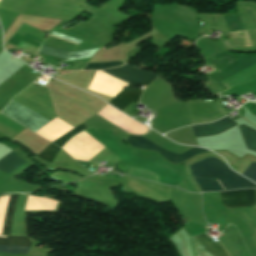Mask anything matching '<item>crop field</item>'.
<instances>
[{
	"label": "crop field",
	"instance_id": "obj_1",
	"mask_svg": "<svg viewBox=\"0 0 256 256\" xmlns=\"http://www.w3.org/2000/svg\"><path fill=\"white\" fill-rule=\"evenodd\" d=\"M189 167L193 178L218 179L225 190L256 188V185L230 171L225 162L217 157L204 159Z\"/></svg>",
	"mask_w": 256,
	"mask_h": 256
},
{
	"label": "crop field",
	"instance_id": "obj_2",
	"mask_svg": "<svg viewBox=\"0 0 256 256\" xmlns=\"http://www.w3.org/2000/svg\"><path fill=\"white\" fill-rule=\"evenodd\" d=\"M152 18L199 29V20L196 11L175 4L155 6Z\"/></svg>",
	"mask_w": 256,
	"mask_h": 256
},
{
	"label": "crop field",
	"instance_id": "obj_3",
	"mask_svg": "<svg viewBox=\"0 0 256 256\" xmlns=\"http://www.w3.org/2000/svg\"><path fill=\"white\" fill-rule=\"evenodd\" d=\"M1 113L26 126L34 132L49 122L42 116L35 114L34 112L12 100Z\"/></svg>",
	"mask_w": 256,
	"mask_h": 256
},
{
	"label": "crop field",
	"instance_id": "obj_4",
	"mask_svg": "<svg viewBox=\"0 0 256 256\" xmlns=\"http://www.w3.org/2000/svg\"><path fill=\"white\" fill-rule=\"evenodd\" d=\"M126 141L130 145L138 147V148L157 151L167 161L174 162V163L186 160V159H188L190 157H193V156H195L197 154H200V153L209 152L208 150H203V149H199V148L194 147V148L190 149L189 151H187L186 153H184L182 155H179V154L169 152V151L155 145L154 143L144 139L141 136L131 135L130 138Z\"/></svg>",
	"mask_w": 256,
	"mask_h": 256
},
{
	"label": "crop field",
	"instance_id": "obj_5",
	"mask_svg": "<svg viewBox=\"0 0 256 256\" xmlns=\"http://www.w3.org/2000/svg\"><path fill=\"white\" fill-rule=\"evenodd\" d=\"M102 71L128 84H150L156 77L155 75L136 69L128 64L118 68L105 69Z\"/></svg>",
	"mask_w": 256,
	"mask_h": 256
},
{
	"label": "crop field",
	"instance_id": "obj_6",
	"mask_svg": "<svg viewBox=\"0 0 256 256\" xmlns=\"http://www.w3.org/2000/svg\"><path fill=\"white\" fill-rule=\"evenodd\" d=\"M222 205L227 208L256 206V189L222 192Z\"/></svg>",
	"mask_w": 256,
	"mask_h": 256
},
{
	"label": "crop field",
	"instance_id": "obj_7",
	"mask_svg": "<svg viewBox=\"0 0 256 256\" xmlns=\"http://www.w3.org/2000/svg\"><path fill=\"white\" fill-rule=\"evenodd\" d=\"M192 239L198 256H228V253L219 242L214 243L204 233Z\"/></svg>",
	"mask_w": 256,
	"mask_h": 256
},
{
	"label": "crop field",
	"instance_id": "obj_8",
	"mask_svg": "<svg viewBox=\"0 0 256 256\" xmlns=\"http://www.w3.org/2000/svg\"><path fill=\"white\" fill-rule=\"evenodd\" d=\"M235 125L237 124L234 123L228 117H226L222 120H219L210 124L196 125L192 127H193L195 137H203V136L220 134Z\"/></svg>",
	"mask_w": 256,
	"mask_h": 256
},
{
	"label": "crop field",
	"instance_id": "obj_9",
	"mask_svg": "<svg viewBox=\"0 0 256 256\" xmlns=\"http://www.w3.org/2000/svg\"><path fill=\"white\" fill-rule=\"evenodd\" d=\"M5 237V236H0ZM0 242L29 243L26 238L7 237L0 238ZM30 244L0 243V252L27 254Z\"/></svg>",
	"mask_w": 256,
	"mask_h": 256
},
{
	"label": "crop field",
	"instance_id": "obj_10",
	"mask_svg": "<svg viewBox=\"0 0 256 256\" xmlns=\"http://www.w3.org/2000/svg\"><path fill=\"white\" fill-rule=\"evenodd\" d=\"M141 91L124 89L108 103L119 110L126 108L131 102L137 103Z\"/></svg>",
	"mask_w": 256,
	"mask_h": 256
},
{
	"label": "crop field",
	"instance_id": "obj_11",
	"mask_svg": "<svg viewBox=\"0 0 256 256\" xmlns=\"http://www.w3.org/2000/svg\"><path fill=\"white\" fill-rule=\"evenodd\" d=\"M24 162L26 161L18 158L15 151H12L10 154L0 159V170L8 174Z\"/></svg>",
	"mask_w": 256,
	"mask_h": 256
},
{
	"label": "crop field",
	"instance_id": "obj_12",
	"mask_svg": "<svg viewBox=\"0 0 256 256\" xmlns=\"http://www.w3.org/2000/svg\"><path fill=\"white\" fill-rule=\"evenodd\" d=\"M239 128L244 139L245 147L256 151V131L245 125H240Z\"/></svg>",
	"mask_w": 256,
	"mask_h": 256
},
{
	"label": "crop field",
	"instance_id": "obj_13",
	"mask_svg": "<svg viewBox=\"0 0 256 256\" xmlns=\"http://www.w3.org/2000/svg\"><path fill=\"white\" fill-rule=\"evenodd\" d=\"M202 191H222V187L214 179H195Z\"/></svg>",
	"mask_w": 256,
	"mask_h": 256
},
{
	"label": "crop field",
	"instance_id": "obj_14",
	"mask_svg": "<svg viewBox=\"0 0 256 256\" xmlns=\"http://www.w3.org/2000/svg\"><path fill=\"white\" fill-rule=\"evenodd\" d=\"M15 197H16V195H13V196H10V198H9V203H8V208H7V213H6V218H5L2 235H9V233H10Z\"/></svg>",
	"mask_w": 256,
	"mask_h": 256
},
{
	"label": "crop field",
	"instance_id": "obj_15",
	"mask_svg": "<svg viewBox=\"0 0 256 256\" xmlns=\"http://www.w3.org/2000/svg\"><path fill=\"white\" fill-rule=\"evenodd\" d=\"M39 54H44L48 56L58 57L62 59H66V57L71 53L70 51L61 50L53 47H48L42 45L39 52Z\"/></svg>",
	"mask_w": 256,
	"mask_h": 256
},
{
	"label": "crop field",
	"instance_id": "obj_16",
	"mask_svg": "<svg viewBox=\"0 0 256 256\" xmlns=\"http://www.w3.org/2000/svg\"><path fill=\"white\" fill-rule=\"evenodd\" d=\"M124 62L116 61V62H108V63H87L83 70H101L109 67H117L123 65Z\"/></svg>",
	"mask_w": 256,
	"mask_h": 256
},
{
	"label": "crop field",
	"instance_id": "obj_17",
	"mask_svg": "<svg viewBox=\"0 0 256 256\" xmlns=\"http://www.w3.org/2000/svg\"><path fill=\"white\" fill-rule=\"evenodd\" d=\"M60 148L54 146V145H49L46 149H44L39 155L38 157L45 159L49 162H51L53 160V158L55 157V155L57 154V152L59 151Z\"/></svg>",
	"mask_w": 256,
	"mask_h": 256
},
{
	"label": "crop field",
	"instance_id": "obj_18",
	"mask_svg": "<svg viewBox=\"0 0 256 256\" xmlns=\"http://www.w3.org/2000/svg\"><path fill=\"white\" fill-rule=\"evenodd\" d=\"M85 128H87V127L84 124H81V125L77 126L76 128H74L73 130H71L66 135L58 138L57 140H55L52 143H54V144H56V145L61 147L70 137H72L73 135L79 133L80 131H82Z\"/></svg>",
	"mask_w": 256,
	"mask_h": 256
},
{
	"label": "crop field",
	"instance_id": "obj_19",
	"mask_svg": "<svg viewBox=\"0 0 256 256\" xmlns=\"http://www.w3.org/2000/svg\"><path fill=\"white\" fill-rule=\"evenodd\" d=\"M98 49L99 48L73 52L72 55L66 61L92 57Z\"/></svg>",
	"mask_w": 256,
	"mask_h": 256
},
{
	"label": "crop field",
	"instance_id": "obj_20",
	"mask_svg": "<svg viewBox=\"0 0 256 256\" xmlns=\"http://www.w3.org/2000/svg\"><path fill=\"white\" fill-rule=\"evenodd\" d=\"M244 176L256 182V164L252 163L251 166L248 168V170L245 172Z\"/></svg>",
	"mask_w": 256,
	"mask_h": 256
},
{
	"label": "crop field",
	"instance_id": "obj_21",
	"mask_svg": "<svg viewBox=\"0 0 256 256\" xmlns=\"http://www.w3.org/2000/svg\"><path fill=\"white\" fill-rule=\"evenodd\" d=\"M51 35H54V36H57V37H60V38L78 43V44H80L82 42V40H79V39H76V38H73V37H70V36H66V35H63V34H60V33L54 32V31H52Z\"/></svg>",
	"mask_w": 256,
	"mask_h": 256
},
{
	"label": "crop field",
	"instance_id": "obj_22",
	"mask_svg": "<svg viewBox=\"0 0 256 256\" xmlns=\"http://www.w3.org/2000/svg\"><path fill=\"white\" fill-rule=\"evenodd\" d=\"M224 47L244 46L241 39L222 42Z\"/></svg>",
	"mask_w": 256,
	"mask_h": 256
},
{
	"label": "crop field",
	"instance_id": "obj_23",
	"mask_svg": "<svg viewBox=\"0 0 256 256\" xmlns=\"http://www.w3.org/2000/svg\"><path fill=\"white\" fill-rule=\"evenodd\" d=\"M230 31L240 30L236 19H227Z\"/></svg>",
	"mask_w": 256,
	"mask_h": 256
},
{
	"label": "crop field",
	"instance_id": "obj_24",
	"mask_svg": "<svg viewBox=\"0 0 256 256\" xmlns=\"http://www.w3.org/2000/svg\"><path fill=\"white\" fill-rule=\"evenodd\" d=\"M0 30H1V28H0Z\"/></svg>",
	"mask_w": 256,
	"mask_h": 256
}]
</instances>
